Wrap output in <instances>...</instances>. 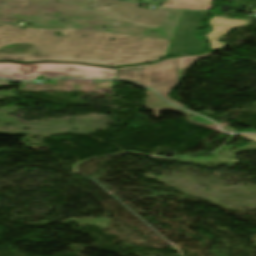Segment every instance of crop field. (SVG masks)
Segmentation results:
<instances>
[{"label": "crop field", "instance_id": "obj_1", "mask_svg": "<svg viewBox=\"0 0 256 256\" xmlns=\"http://www.w3.org/2000/svg\"><path fill=\"white\" fill-rule=\"evenodd\" d=\"M0 25V60L17 62L63 61L101 66L146 63L164 57L170 42L77 29L74 35L57 37L54 32L60 29L23 30Z\"/></svg>", "mask_w": 256, "mask_h": 256}, {"label": "crop field", "instance_id": "obj_2", "mask_svg": "<svg viewBox=\"0 0 256 256\" xmlns=\"http://www.w3.org/2000/svg\"><path fill=\"white\" fill-rule=\"evenodd\" d=\"M181 12L148 10L118 0H0V22L3 23L14 24L20 20L33 27H72L167 40L171 39ZM60 19L66 22L59 23ZM103 25L107 26L106 30H101Z\"/></svg>", "mask_w": 256, "mask_h": 256}, {"label": "crop field", "instance_id": "obj_3", "mask_svg": "<svg viewBox=\"0 0 256 256\" xmlns=\"http://www.w3.org/2000/svg\"><path fill=\"white\" fill-rule=\"evenodd\" d=\"M205 54V53H204ZM212 52L205 55L186 56L171 60H164L160 63L118 69L116 79L130 80L139 84L149 86L158 91L170 103L183 107L168 96L183 78L184 71L189 69L199 59L208 58ZM187 109L186 107H183Z\"/></svg>", "mask_w": 256, "mask_h": 256}, {"label": "crop field", "instance_id": "obj_4", "mask_svg": "<svg viewBox=\"0 0 256 256\" xmlns=\"http://www.w3.org/2000/svg\"><path fill=\"white\" fill-rule=\"evenodd\" d=\"M115 71L116 69L76 64L0 63V77L18 80H35L38 78V76H43L46 79L58 77L114 79Z\"/></svg>", "mask_w": 256, "mask_h": 256}, {"label": "crop field", "instance_id": "obj_5", "mask_svg": "<svg viewBox=\"0 0 256 256\" xmlns=\"http://www.w3.org/2000/svg\"><path fill=\"white\" fill-rule=\"evenodd\" d=\"M207 16L204 12L184 11L167 56L200 53L205 44L193 32L200 28L201 21Z\"/></svg>", "mask_w": 256, "mask_h": 256}, {"label": "crop field", "instance_id": "obj_6", "mask_svg": "<svg viewBox=\"0 0 256 256\" xmlns=\"http://www.w3.org/2000/svg\"><path fill=\"white\" fill-rule=\"evenodd\" d=\"M213 31L209 33L207 39H209L212 43L211 50L219 49L221 47L226 46L221 42H217L220 37L225 35L228 31L234 28L244 27L248 24V21H240V20H232V19H224L215 16L213 19L209 20Z\"/></svg>", "mask_w": 256, "mask_h": 256}, {"label": "crop field", "instance_id": "obj_7", "mask_svg": "<svg viewBox=\"0 0 256 256\" xmlns=\"http://www.w3.org/2000/svg\"><path fill=\"white\" fill-rule=\"evenodd\" d=\"M148 94V98L145 99L146 107L148 110H152L155 113V116L157 119H160V112L163 110H173L182 114H185L187 116L193 115L189 112H186L184 110L178 109L164 101H162L154 92L151 90H146Z\"/></svg>", "mask_w": 256, "mask_h": 256}, {"label": "crop field", "instance_id": "obj_8", "mask_svg": "<svg viewBox=\"0 0 256 256\" xmlns=\"http://www.w3.org/2000/svg\"><path fill=\"white\" fill-rule=\"evenodd\" d=\"M170 1L171 4L167 2ZM212 0H166L161 7L191 10H208Z\"/></svg>", "mask_w": 256, "mask_h": 256}, {"label": "crop field", "instance_id": "obj_9", "mask_svg": "<svg viewBox=\"0 0 256 256\" xmlns=\"http://www.w3.org/2000/svg\"><path fill=\"white\" fill-rule=\"evenodd\" d=\"M75 31V29H72V28H65V29H61V33L62 34H73Z\"/></svg>", "mask_w": 256, "mask_h": 256}, {"label": "crop field", "instance_id": "obj_10", "mask_svg": "<svg viewBox=\"0 0 256 256\" xmlns=\"http://www.w3.org/2000/svg\"><path fill=\"white\" fill-rule=\"evenodd\" d=\"M0 85H9V81H7V80H0Z\"/></svg>", "mask_w": 256, "mask_h": 256}]
</instances>
